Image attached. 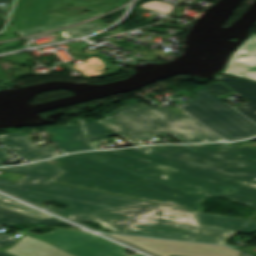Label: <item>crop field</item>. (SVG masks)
<instances>
[{
    "label": "crop field",
    "mask_w": 256,
    "mask_h": 256,
    "mask_svg": "<svg viewBox=\"0 0 256 256\" xmlns=\"http://www.w3.org/2000/svg\"><path fill=\"white\" fill-rule=\"evenodd\" d=\"M101 25L95 21L92 23H88L82 26H78L72 29L60 31L59 33L64 37V38H72V37H77L85 34H89L91 32H94L96 30L101 29Z\"/></svg>",
    "instance_id": "92a150f3"
},
{
    "label": "crop field",
    "mask_w": 256,
    "mask_h": 256,
    "mask_svg": "<svg viewBox=\"0 0 256 256\" xmlns=\"http://www.w3.org/2000/svg\"><path fill=\"white\" fill-rule=\"evenodd\" d=\"M247 180L134 148L120 195L198 210L207 196L226 197Z\"/></svg>",
    "instance_id": "8a807250"
},
{
    "label": "crop field",
    "mask_w": 256,
    "mask_h": 256,
    "mask_svg": "<svg viewBox=\"0 0 256 256\" xmlns=\"http://www.w3.org/2000/svg\"><path fill=\"white\" fill-rule=\"evenodd\" d=\"M0 256H11V255H8L6 253L0 252Z\"/></svg>",
    "instance_id": "bd1437ed"
},
{
    "label": "crop field",
    "mask_w": 256,
    "mask_h": 256,
    "mask_svg": "<svg viewBox=\"0 0 256 256\" xmlns=\"http://www.w3.org/2000/svg\"><path fill=\"white\" fill-rule=\"evenodd\" d=\"M86 18H88V17L72 19V20H68V21H64V22H59V23H55V24H50V25H45V26H40V27L29 28V29H25V30H22V31H18V34L19 35H25V34H29V33L39 32V31H43V30L59 27V26H62V25L71 24V23H74L76 21H79V20H82V19H86Z\"/></svg>",
    "instance_id": "dafd665d"
},
{
    "label": "crop field",
    "mask_w": 256,
    "mask_h": 256,
    "mask_svg": "<svg viewBox=\"0 0 256 256\" xmlns=\"http://www.w3.org/2000/svg\"><path fill=\"white\" fill-rule=\"evenodd\" d=\"M132 149L91 151L52 159L64 171L55 181L119 194Z\"/></svg>",
    "instance_id": "f4fd0767"
},
{
    "label": "crop field",
    "mask_w": 256,
    "mask_h": 256,
    "mask_svg": "<svg viewBox=\"0 0 256 256\" xmlns=\"http://www.w3.org/2000/svg\"><path fill=\"white\" fill-rule=\"evenodd\" d=\"M151 206L153 205L68 216V218L75 221L94 220L95 222L101 223V227L108 228L114 233H120Z\"/></svg>",
    "instance_id": "28ad6ade"
},
{
    "label": "crop field",
    "mask_w": 256,
    "mask_h": 256,
    "mask_svg": "<svg viewBox=\"0 0 256 256\" xmlns=\"http://www.w3.org/2000/svg\"><path fill=\"white\" fill-rule=\"evenodd\" d=\"M251 148H254V149H256V147H251Z\"/></svg>",
    "instance_id": "120bbe31"
},
{
    "label": "crop field",
    "mask_w": 256,
    "mask_h": 256,
    "mask_svg": "<svg viewBox=\"0 0 256 256\" xmlns=\"http://www.w3.org/2000/svg\"><path fill=\"white\" fill-rule=\"evenodd\" d=\"M26 235L48 242L74 256H128L123 252L125 248L115 246L91 233L53 229V231L43 235L29 233ZM67 239L69 241H66Z\"/></svg>",
    "instance_id": "5a996713"
},
{
    "label": "crop field",
    "mask_w": 256,
    "mask_h": 256,
    "mask_svg": "<svg viewBox=\"0 0 256 256\" xmlns=\"http://www.w3.org/2000/svg\"><path fill=\"white\" fill-rule=\"evenodd\" d=\"M0 165H4V164H2V163L0 162Z\"/></svg>",
    "instance_id": "d32e631a"
},
{
    "label": "crop field",
    "mask_w": 256,
    "mask_h": 256,
    "mask_svg": "<svg viewBox=\"0 0 256 256\" xmlns=\"http://www.w3.org/2000/svg\"><path fill=\"white\" fill-rule=\"evenodd\" d=\"M0 18H2V19H4V20H6V18H4V17H2V16H0Z\"/></svg>",
    "instance_id": "1d83c4d3"
},
{
    "label": "crop field",
    "mask_w": 256,
    "mask_h": 256,
    "mask_svg": "<svg viewBox=\"0 0 256 256\" xmlns=\"http://www.w3.org/2000/svg\"><path fill=\"white\" fill-rule=\"evenodd\" d=\"M13 1L14 0H0V2H3L5 4H7L6 7L4 8L5 11H2L0 9V15H2L4 17H7L8 13H9V10H10L12 4H13Z\"/></svg>",
    "instance_id": "eef30255"
},
{
    "label": "crop field",
    "mask_w": 256,
    "mask_h": 256,
    "mask_svg": "<svg viewBox=\"0 0 256 256\" xmlns=\"http://www.w3.org/2000/svg\"><path fill=\"white\" fill-rule=\"evenodd\" d=\"M193 214L199 224L204 226L245 233L256 231V222L197 212H193Z\"/></svg>",
    "instance_id": "d9b57169"
},
{
    "label": "crop field",
    "mask_w": 256,
    "mask_h": 256,
    "mask_svg": "<svg viewBox=\"0 0 256 256\" xmlns=\"http://www.w3.org/2000/svg\"><path fill=\"white\" fill-rule=\"evenodd\" d=\"M0 170L24 175L18 183L0 179V189L38 205L49 200L67 204L64 210L52 205L46 207L63 216L151 204L49 182L61 171L46 161Z\"/></svg>",
    "instance_id": "ac0d7876"
},
{
    "label": "crop field",
    "mask_w": 256,
    "mask_h": 256,
    "mask_svg": "<svg viewBox=\"0 0 256 256\" xmlns=\"http://www.w3.org/2000/svg\"><path fill=\"white\" fill-rule=\"evenodd\" d=\"M1 228V226H0ZM17 238L0 233V243L3 245L10 246L14 243Z\"/></svg>",
    "instance_id": "4177f3b9"
},
{
    "label": "crop field",
    "mask_w": 256,
    "mask_h": 256,
    "mask_svg": "<svg viewBox=\"0 0 256 256\" xmlns=\"http://www.w3.org/2000/svg\"><path fill=\"white\" fill-rule=\"evenodd\" d=\"M122 0H16L11 21L15 30L55 23L72 18L94 15L100 11L119 5ZM62 3L86 7L89 13L81 16H63L49 13Z\"/></svg>",
    "instance_id": "d8731c3e"
},
{
    "label": "crop field",
    "mask_w": 256,
    "mask_h": 256,
    "mask_svg": "<svg viewBox=\"0 0 256 256\" xmlns=\"http://www.w3.org/2000/svg\"><path fill=\"white\" fill-rule=\"evenodd\" d=\"M6 252L16 256H71L43 241L26 235Z\"/></svg>",
    "instance_id": "5142ce71"
},
{
    "label": "crop field",
    "mask_w": 256,
    "mask_h": 256,
    "mask_svg": "<svg viewBox=\"0 0 256 256\" xmlns=\"http://www.w3.org/2000/svg\"><path fill=\"white\" fill-rule=\"evenodd\" d=\"M53 138H49L52 142H57L58 146L66 152H74L81 150L93 149L83 140L69 132L64 127H53L46 130Z\"/></svg>",
    "instance_id": "733c2abd"
},
{
    "label": "crop field",
    "mask_w": 256,
    "mask_h": 256,
    "mask_svg": "<svg viewBox=\"0 0 256 256\" xmlns=\"http://www.w3.org/2000/svg\"><path fill=\"white\" fill-rule=\"evenodd\" d=\"M68 128L70 129L69 131H71L72 133H74L75 135H77L78 137H80L81 139H83L85 141L84 133H83V130H82L80 124L68 126Z\"/></svg>",
    "instance_id": "730fd06b"
},
{
    "label": "crop field",
    "mask_w": 256,
    "mask_h": 256,
    "mask_svg": "<svg viewBox=\"0 0 256 256\" xmlns=\"http://www.w3.org/2000/svg\"><path fill=\"white\" fill-rule=\"evenodd\" d=\"M222 73L256 80V34L249 37L233 54Z\"/></svg>",
    "instance_id": "d1516ede"
},
{
    "label": "crop field",
    "mask_w": 256,
    "mask_h": 256,
    "mask_svg": "<svg viewBox=\"0 0 256 256\" xmlns=\"http://www.w3.org/2000/svg\"><path fill=\"white\" fill-rule=\"evenodd\" d=\"M84 126L89 142L115 135L111 131H106V128L97 121L84 124Z\"/></svg>",
    "instance_id": "214f88e0"
},
{
    "label": "crop field",
    "mask_w": 256,
    "mask_h": 256,
    "mask_svg": "<svg viewBox=\"0 0 256 256\" xmlns=\"http://www.w3.org/2000/svg\"><path fill=\"white\" fill-rule=\"evenodd\" d=\"M62 222L63 221L58 220L56 218L38 221L37 219L0 207V224L4 226H14L19 223H28L33 225L40 223L41 224L40 226H45L48 224L62 223Z\"/></svg>",
    "instance_id": "4a817a6b"
},
{
    "label": "crop field",
    "mask_w": 256,
    "mask_h": 256,
    "mask_svg": "<svg viewBox=\"0 0 256 256\" xmlns=\"http://www.w3.org/2000/svg\"><path fill=\"white\" fill-rule=\"evenodd\" d=\"M159 256H240V252L224 246L112 235Z\"/></svg>",
    "instance_id": "3316defc"
},
{
    "label": "crop field",
    "mask_w": 256,
    "mask_h": 256,
    "mask_svg": "<svg viewBox=\"0 0 256 256\" xmlns=\"http://www.w3.org/2000/svg\"><path fill=\"white\" fill-rule=\"evenodd\" d=\"M1 77H7V75L5 74V72L3 71V69L0 67V78Z\"/></svg>",
    "instance_id": "750c4746"
},
{
    "label": "crop field",
    "mask_w": 256,
    "mask_h": 256,
    "mask_svg": "<svg viewBox=\"0 0 256 256\" xmlns=\"http://www.w3.org/2000/svg\"><path fill=\"white\" fill-rule=\"evenodd\" d=\"M0 142L18 153L23 158L31 161L58 155V153L55 152L56 148L54 146H35L23 133L0 135ZM17 147L20 149H17Z\"/></svg>",
    "instance_id": "22f410ed"
},
{
    "label": "crop field",
    "mask_w": 256,
    "mask_h": 256,
    "mask_svg": "<svg viewBox=\"0 0 256 256\" xmlns=\"http://www.w3.org/2000/svg\"><path fill=\"white\" fill-rule=\"evenodd\" d=\"M121 234L224 244L236 233L200 226L191 211L156 204Z\"/></svg>",
    "instance_id": "dd49c442"
},
{
    "label": "crop field",
    "mask_w": 256,
    "mask_h": 256,
    "mask_svg": "<svg viewBox=\"0 0 256 256\" xmlns=\"http://www.w3.org/2000/svg\"><path fill=\"white\" fill-rule=\"evenodd\" d=\"M99 122L137 145L145 144L143 139L161 133L172 135L181 143L223 140L185 112L177 115L167 108L147 107L135 101Z\"/></svg>",
    "instance_id": "34b2d1b8"
},
{
    "label": "crop field",
    "mask_w": 256,
    "mask_h": 256,
    "mask_svg": "<svg viewBox=\"0 0 256 256\" xmlns=\"http://www.w3.org/2000/svg\"><path fill=\"white\" fill-rule=\"evenodd\" d=\"M197 96L193 99H199V98H203V97H207V96H211L212 94L210 92H208L207 90H205L204 88L201 89H197L194 91Z\"/></svg>",
    "instance_id": "ae1a2a85"
},
{
    "label": "crop field",
    "mask_w": 256,
    "mask_h": 256,
    "mask_svg": "<svg viewBox=\"0 0 256 256\" xmlns=\"http://www.w3.org/2000/svg\"><path fill=\"white\" fill-rule=\"evenodd\" d=\"M173 5H169L168 3L160 2V1H149L140 5V7H144L151 10H156L161 13L169 14Z\"/></svg>",
    "instance_id": "00972430"
},
{
    "label": "crop field",
    "mask_w": 256,
    "mask_h": 256,
    "mask_svg": "<svg viewBox=\"0 0 256 256\" xmlns=\"http://www.w3.org/2000/svg\"><path fill=\"white\" fill-rule=\"evenodd\" d=\"M229 143L142 147L249 180L227 198L256 209V150Z\"/></svg>",
    "instance_id": "412701ff"
},
{
    "label": "crop field",
    "mask_w": 256,
    "mask_h": 256,
    "mask_svg": "<svg viewBox=\"0 0 256 256\" xmlns=\"http://www.w3.org/2000/svg\"><path fill=\"white\" fill-rule=\"evenodd\" d=\"M215 78L249 101L234 108L256 123V83L222 75H217Z\"/></svg>",
    "instance_id": "cbeb9de0"
},
{
    "label": "crop field",
    "mask_w": 256,
    "mask_h": 256,
    "mask_svg": "<svg viewBox=\"0 0 256 256\" xmlns=\"http://www.w3.org/2000/svg\"><path fill=\"white\" fill-rule=\"evenodd\" d=\"M0 206L15 210L17 212L23 213L25 215H28V216H31V217H34L37 219L51 218V216H49L47 214H44L38 210L30 208L26 205L18 203L16 201L6 198L4 196H0Z\"/></svg>",
    "instance_id": "bc2a9ffb"
},
{
    "label": "crop field",
    "mask_w": 256,
    "mask_h": 256,
    "mask_svg": "<svg viewBox=\"0 0 256 256\" xmlns=\"http://www.w3.org/2000/svg\"><path fill=\"white\" fill-rule=\"evenodd\" d=\"M207 88H208V90H210L212 93H214L217 96L231 91L230 89H228L226 86H224L220 82L213 84L211 86H208Z\"/></svg>",
    "instance_id": "a9b5d70f"
},
{
    "label": "crop field",
    "mask_w": 256,
    "mask_h": 256,
    "mask_svg": "<svg viewBox=\"0 0 256 256\" xmlns=\"http://www.w3.org/2000/svg\"><path fill=\"white\" fill-rule=\"evenodd\" d=\"M182 109L226 140L256 135V127L215 96L179 103Z\"/></svg>",
    "instance_id": "e52e79f7"
},
{
    "label": "crop field",
    "mask_w": 256,
    "mask_h": 256,
    "mask_svg": "<svg viewBox=\"0 0 256 256\" xmlns=\"http://www.w3.org/2000/svg\"><path fill=\"white\" fill-rule=\"evenodd\" d=\"M12 157L9 153H7L5 150H3L2 148H0V160L1 159H5V158H9Z\"/></svg>",
    "instance_id": "d3111659"
}]
</instances>
